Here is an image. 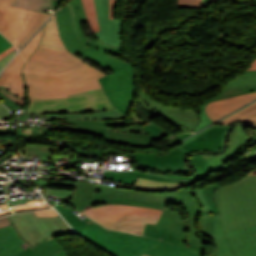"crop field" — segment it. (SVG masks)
<instances>
[{
    "label": "crop field",
    "instance_id": "0bd39190",
    "mask_svg": "<svg viewBox=\"0 0 256 256\" xmlns=\"http://www.w3.org/2000/svg\"><path fill=\"white\" fill-rule=\"evenodd\" d=\"M202 0H178L177 7L199 8Z\"/></svg>",
    "mask_w": 256,
    "mask_h": 256
},
{
    "label": "crop field",
    "instance_id": "120bbe31",
    "mask_svg": "<svg viewBox=\"0 0 256 256\" xmlns=\"http://www.w3.org/2000/svg\"><path fill=\"white\" fill-rule=\"evenodd\" d=\"M140 127L143 128L148 134H150L152 137L156 139H160L168 135L167 132H165L163 129L159 128L151 122L146 123Z\"/></svg>",
    "mask_w": 256,
    "mask_h": 256
},
{
    "label": "crop field",
    "instance_id": "d1516ede",
    "mask_svg": "<svg viewBox=\"0 0 256 256\" xmlns=\"http://www.w3.org/2000/svg\"><path fill=\"white\" fill-rule=\"evenodd\" d=\"M20 237L32 247L49 236L74 234L61 217L37 218L34 213L11 216Z\"/></svg>",
    "mask_w": 256,
    "mask_h": 256
},
{
    "label": "crop field",
    "instance_id": "8a807250",
    "mask_svg": "<svg viewBox=\"0 0 256 256\" xmlns=\"http://www.w3.org/2000/svg\"><path fill=\"white\" fill-rule=\"evenodd\" d=\"M132 190L98 184L97 193L81 212L102 204H131L165 210L157 225L146 224L143 235L164 239L199 256L203 255L204 246L196 238L198 234L195 222L197 216L201 215V207L193 196L194 189L168 193H144ZM168 202L184 204L190 218L184 221L179 213L166 208Z\"/></svg>",
    "mask_w": 256,
    "mask_h": 256
},
{
    "label": "crop field",
    "instance_id": "ae1a2a85",
    "mask_svg": "<svg viewBox=\"0 0 256 256\" xmlns=\"http://www.w3.org/2000/svg\"><path fill=\"white\" fill-rule=\"evenodd\" d=\"M188 183L156 182L137 177L135 188L141 190H173L186 186Z\"/></svg>",
    "mask_w": 256,
    "mask_h": 256
},
{
    "label": "crop field",
    "instance_id": "bc2a9ffb",
    "mask_svg": "<svg viewBox=\"0 0 256 256\" xmlns=\"http://www.w3.org/2000/svg\"><path fill=\"white\" fill-rule=\"evenodd\" d=\"M122 119L126 118L118 109L101 111L96 113H66V114H47V121L50 120H59V119Z\"/></svg>",
    "mask_w": 256,
    "mask_h": 256
},
{
    "label": "crop field",
    "instance_id": "22f410ed",
    "mask_svg": "<svg viewBox=\"0 0 256 256\" xmlns=\"http://www.w3.org/2000/svg\"><path fill=\"white\" fill-rule=\"evenodd\" d=\"M113 104L127 117L136 98V72L131 67L99 79Z\"/></svg>",
    "mask_w": 256,
    "mask_h": 256
},
{
    "label": "crop field",
    "instance_id": "1f2cbd36",
    "mask_svg": "<svg viewBox=\"0 0 256 256\" xmlns=\"http://www.w3.org/2000/svg\"><path fill=\"white\" fill-rule=\"evenodd\" d=\"M214 1H216V0H211V1H210V4L213 3Z\"/></svg>",
    "mask_w": 256,
    "mask_h": 256
},
{
    "label": "crop field",
    "instance_id": "3316defc",
    "mask_svg": "<svg viewBox=\"0 0 256 256\" xmlns=\"http://www.w3.org/2000/svg\"><path fill=\"white\" fill-rule=\"evenodd\" d=\"M115 108L108 100L104 90L97 89L59 99L29 98L25 113H65L96 112Z\"/></svg>",
    "mask_w": 256,
    "mask_h": 256
},
{
    "label": "crop field",
    "instance_id": "dd49c442",
    "mask_svg": "<svg viewBox=\"0 0 256 256\" xmlns=\"http://www.w3.org/2000/svg\"><path fill=\"white\" fill-rule=\"evenodd\" d=\"M62 126H68L67 129L80 132L91 133L95 135L104 136V139L119 144H126L138 147H157V149L167 147L176 143L190 134H184L170 142L152 146V140L138 125L131 126L123 120L117 121H81V120H67L51 122Z\"/></svg>",
    "mask_w": 256,
    "mask_h": 256
},
{
    "label": "crop field",
    "instance_id": "f4fd0767",
    "mask_svg": "<svg viewBox=\"0 0 256 256\" xmlns=\"http://www.w3.org/2000/svg\"><path fill=\"white\" fill-rule=\"evenodd\" d=\"M230 126L213 125L192 138L168 148L170 154L156 156V153H135L133 157L141 168L168 172L187 173L190 171L183 157L196 151H219L224 144V136Z\"/></svg>",
    "mask_w": 256,
    "mask_h": 256
},
{
    "label": "crop field",
    "instance_id": "b80d0937",
    "mask_svg": "<svg viewBox=\"0 0 256 256\" xmlns=\"http://www.w3.org/2000/svg\"><path fill=\"white\" fill-rule=\"evenodd\" d=\"M0 100L3 101L9 108H11L13 111L14 109L17 107L22 108L21 106H19L18 104L12 102L11 100H9L7 97H5L1 92H0ZM24 109V108H22Z\"/></svg>",
    "mask_w": 256,
    "mask_h": 256
},
{
    "label": "crop field",
    "instance_id": "34b2d1b8",
    "mask_svg": "<svg viewBox=\"0 0 256 256\" xmlns=\"http://www.w3.org/2000/svg\"><path fill=\"white\" fill-rule=\"evenodd\" d=\"M101 32L94 33L99 41L88 39L80 22H87L81 0H70L58 10L59 33L66 49L112 72L131 67L130 63L105 54L106 50L120 55L122 20H109L108 0H94ZM89 40V41H87Z\"/></svg>",
    "mask_w": 256,
    "mask_h": 256
},
{
    "label": "crop field",
    "instance_id": "dafd665d",
    "mask_svg": "<svg viewBox=\"0 0 256 256\" xmlns=\"http://www.w3.org/2000/svg\"><path fill=\"white\" fill-rule=\"evenodd\" d=\"M256 91V86H251V87H245V88H237V89H231V90H227V91H222L220 94L216 95L215 97L207 100L201 107L200 110V114H201V119H200V123L198 125V127L196 128V131L206 127L207 125L211 124L213 121L207 116L206 112H205V106L214 100H218V99H223V98H227V97H231V96H236V95H240V94H245V93H250V92H254Z\"/></svg>",
    "mask_w": 256,
    "mask_h": 256
},
{
    "label": "crop field",
    "instance_id": "214f88e0",
    "mask_svg": "<svg viewBox=\"0 0 256 256\" xmlns=\"http://www.w3.org/2000/svg\"><path fill=\"white\" fill-rule=\"evenodd\" d=\"M96 191L97 184L78 180L77 190L68 204H70L80 212L88 205L91 197L94 196Z\"/></svg>",
    "mask_w": 256,
    "mask_h": 256
},
{
    "label": "crop field",
    "instance_id": "e1f06a70",
    "mask_svg": "<svg viewBox=\"0 0 256 256\" xmlns=\"http://www.w3.org/2000/svg\"><path fill=\"white\" fill-rule=\"evenodd\" d=\"M13 54H9L3 59L0 60V71L7 64V62L11 59ZM9 114V110H7L4 106L0 104V118H6Z\"/></svg>",
    "mask_w": 256,
    "mask_h": 256
},
{
    "label": "crop field",
    "instance_id": "750c4746",
    "mask_svg": "<svg viewBox=\"0 0 256 256\" xmlns=\"http://www.w3.org/2000/svg\"><path fill=\"white\" fill-rule=\"evenodd\" d=\"M11 6L42 13H44L42 10L47 8L48 10L50 9V12H47L46 14L52 15L51 0H15Z\"/></svg>",
    "mask_w": 256,
    "mask_h": 256
},
{
    "label": "crop field",
    "instance_id": "e52e79f7",
    "mask_svg": "<svg viewBox=\"0 0 256 256\" xmlns=\"http://www.w3.org/2000/svg\"><path fill=\"white\" fill-rule=\"evenodd\" d=\"M162 213L161 210L131 205H103L82 214L106 228L142 235L145 223L157 224Z\"/></svg>",
    "mask_w": 256,
    "mask_h": 256
},
{
    "label": "crop field",
    "instance_id": "c21b1889",
    "mask_svg": "<svg viewBox=\"0 0 256 256\" xmlns=\"http://www.w3.org/2000/svg\"><path fill=\"white\" fill-rule=\"evenodd\" d=\"M37 217H43V216H59L55 210L51 211H44V212H37L35 213Z\"/></svg>",
    "mask_w": 256,
    "mask_h": 256
},
{
    "label": "crop field",
    "instance_id": "dbb93151",
    "mask_svg": "<svg viewBox=\"0 0 256 256\" xmlns=\"http://www.w3.org/2000/svg\"><path fill=\"white\" fill-rule=\"evenodd\" d=\"M142 256H148V255L144 254V255H142Z\"/></svg>",
    "mask_w": 256,
    "mask_h": 256
},
{
    "label": "crop field",
    "instance_id": "d23c7cc5",
    "mask_svg": "<svg viewBox=\"0 0 256 256\" xmlns=\"http://www.w3.org/2000/svg\"><path fill=\"white\" fill-rule=\"evenodd\" d=\"M51 256H67L66 252L61 248L56 253L52 254Z\"/></svg>",
    "mask_w": 256,
    "mask_h": 256
},
{
    "label": "crop field",
    "instance_id": "d3111659",
    "mask_svg": "<svg viewBox=\"0 0 256 256\" xmlns=\"http://www.w3.org/2000/svg\"><path fill=\"white\" fill-rule=\"evenodd\" d=\"M57 211L64 217V219L77 231V233L82 230L86 224H89L92 222V220H89L85 218L83 221L80 220L72 211H74L72 208L64 205H57L54 206Z\"/></svg>",
    "mask_w": 256,
    "mask_h": 256
},
{
    "label": "crop field",
    "instance_id": "00972430",
    "mask_svg": "<svg viewBox=\"0 0 256 256\" xmlns=\"http://www.w3.org/2000/svg\"><path fill=\"white\" fill-rule=\"evenodd\" d=\"M104 175L102 178L104 179H110V180H115L123 183H128L134 185L136 176L147 178V179H152L156 181H168V182H197V181H173L170 179L150 175V174H145V173H137V172H108L104 171Z\"/></svg>",
    "mask_w": 256,
    "mask_h": 256
},
{
    "label": "crop field",
    "instance_id": "412701ff",
    "mask_svg": "<svg viewBox=\"0 0 256 256\" xmlns=\"http://www.w3.org/2000/svg\"><path fill=\"white\" fill-rule=\"evenodd\" d=\"M214 196L224 232L256 226V169Z\"/></svg>",
    "mask_w": 256,
    "mask_h": 256
},
{
    "label": "crop field",
    "instance_id": "92a150f3",
    "mask_svg": "<svg viewBox=\"0 0 256 256\" xmlns=\"http://www.w3.org/2000/svg\"><path fill=\"white\" fill-rule=\"evenodd\" d=\"M40 46L54 50H66L58 33L55 16L47 21Z\"/></svg>",
    "mask_w": 256,
    "mask_h": 256
},
{
    "label": "crop field",
    "instance_id": "89e229c0",
    "mask_svg": "<svg viewBox=\"0 0 256 256\" xmlns=\"http://www.w3.org/2000/svg\"><path fill=\"white\" fill-rule=\"evenodd\" d=\"M252 69H256V61L247 70H252Z\"/></svg>",
    "mask_w": 256,
    "mask_h": 256
},
{
    "label": "crop field",
    "instance_id": "cbeb9de0",
    "mask_svg": "<svg viewBox=\"0 0 256 256\" xmlns=\"http://www.w3.org/2000/svg\"><path fill=\"white\" fill-rule=\"evenodd\" d=\"M61 247L50 237L31 248L12 226L0 229V256H50Z\"/></svg>",
    "mask_w": 256,
    "mask_h": 256
},
{
    "label": "crop field",
    "instance_id": "d32e631a",
    "mask_svg": "<svg viewBox=\"0 0 256 256\" xmlns=\"http://www.w3.org/2000/svg\"><path fill=\"white\" fill-rule=\"evenodd\" d=\"M24 181H36V185L46 186H62V187H76L77 181H52V180H24ZM21 182V181H16Z\"/></svg>",
    "mask_w": 256,
    "mask_h": 256
},
{
    "label": "crop field",
    "instance_id": "28ad6ade",
    "mask_svg": "<svg viewBox=\"0 0 256 256\" xmlns=\"http://www.w3.org/2000/svg\"><path fill=\"white\" fill-rule=\"evenodd\" d=\"M13 0H0V32L18 49L50 15L10 7Z\"/></svg>",
    "mask_w": 256,
    "mask_h": 256
},
{
    "label": "crop field",
    "instance_id": "c035e120",
    "mask_svg": "<svg viewBox=\"0 0 256 256\" xmlns=\"http://www.w3.org/2000/svg\"><path fill=\"white\" fill-rule=\"evenodd\" d=\"M12 45L0 34V53L10 48Z\"/></svg>",
    "mask_w": 256,
    "mask_h": 256
},
{
    "label": "crop field",
    "instance_id": "4177f3b9",
    "mask_svg": "<svg viewBox=\"0 0 256 256\" xmlns=\"http://www.w3.org/2000/svg\"><path fill=\"white\" fill-rule=\"evenodd\" d=\"M146 254L150 256H197L175 244L161 240L156 247L149 250Z\"/></svg>",
    "mask_w": 256,
    "mask_h": 256
},
{
    "label": "crop field",
    "instance_id": "73cf0c24",
    "mask_svg": "<svg viewBox=\"0 0 256 256\" xmlns=\"http://www.w3.org/2000/svg\"><path fill=\"white\" fill-rule=\"evenodd\" d=\"M209 1L210 0H203L202 5H201L200 8H203V7L207 6V5H209Z\"/></svg>",
    "mask_w": 256,
    "mask_h": 256
},
{
    "label": "crop field",
    "instance_id": "5d738f31",
    "mask_svg": "<svg viewBox=\"0 0 256 256\" xmlns=\"http://www.w3.org/2000/svg\"><path fill=\"white\" fill-rule=\"evenodd\" d=\"M114 1L115 0H109V18L114 19Z\"/></svg>",
    "mask_w": 256,
    "mask_h": 256
},
{
    "label": "crop field",
    "instance_id": "730fd06b",
    "mask_svg": "<svg viewBox=\"0 0 256 256\" xmlns=\"http://www.w3.org/2000/svg\"><path fill=\"white\" fill-rule=\"evenodd\" d=\"M236 121H239L245 124L256 125V102L240 110L234 115L220 121L217 124L231 125V123Z\"/></svg>",
    "mask_w": 256,
    "mask_h": 256
},
{
    "label": "crop field",
    "instance_id": "25e5ab78",
    "mask_svg": "<svg viewBox=\"0 0 256 256\" xmlns=\"http://www.w3.org/2000/svg\"><path fill=\"white\" fill-rule=\"evenodd\" d=\"M61 0H53V6H54V11L58 8V4L60 3Z\"/></svg>",
    "mask_w": 256,
    "mask_h": 256
},
{
    "label": "crop field",
    "instance_id": "028f5c9d",
    "mask_svg": "<svg viewBox=\"0 0 256 256\" xmlns=\"http://www.w3.org/2000/svg\"><path fill=\"white\" fill-rule=\"evenodd\" d=\"M46 192L62 198L67 203L70 200V198L72 197V195L74 194V192H72V191L54 190V189H47Z\"/></svg>",
    "mask_w": 256,
    "mask_h": 256
},
{
    "label": "crop field",
    "instance_id": "03da06ac",
    "mask_svg": "<svg viewBox=\"0 0 256 256\" xmlns=\"http://www.w3.org/2000/svg\"><path fill=\"white\" fill-rule=\"evenodd\" d=\"M243 159H245L248 162H253L256 160V150L250 152L248 155H246Z\"/></svg>",
    "mask_w": 256,
    "mask_h": 256
},
{
    "label": "crop field",
    "instance_id": "425ffa30",
    "mask_svg": "<svg viewBox=\"0 0 256 256\" xmlns=\"http://www.w3.org/2000/svg\"><path fill=\"white\" fill-rule=\"evenodd\" d=\"M15 48L14 46L11 47L10 49H8L7 51L3 52L2 54H0V59L3 58L4 56H6L7 54H9L11 51H13Z\"/></svg>",
    "mask_w": 256,
    "mask_h": 256
},
{
    "label": "crop field",
    "instance_id": "733c2abd",
    "mask_svg": "<svg viewBox=\"0 0 256 256\" xmlns=\"http://www.w3.org/2000/svg\"><path fill=\"white\" fill-rule=\"evenodd\" d=\"M231 133V132H230ZM256 138V129L244 128L236 125L235 129L229 135L230 144L226 151L217 156L201 155L206 162L217 172H221L226 167L223 166L232 156L240 151L252 139ZM253 141V140H252Z\"/></svg>",
    "mask_w": 256,
    "mask_h": 256
},
{
    "label": "crop field",
    "instance_id": "b54c1fbb",
    "mask_svg": "<svg viewBox=\"0 0 256 256\" xmlns=\"http://www.w3.org/2000/svg\"><path fill=\"white\" fill-rule=\"evenodd\" d=\"M10 217L0 219V228L12 225Z\"/></svg>",
    "mask_w": 256,
    "mask_h": 256
},
{
    "label": "crop field",
    "instance_id": "ac0d7876",
    "mask_svg": "<svg viewBox=\"0 0 256 256\" xmlns=\"http://www.w3.org/2000/svg\"><path fill=\"white\" fill-rule=\"evenodd\" d=\"M29 97L59 98L101 88L104 73L86 65L68 51L38 47L23 67ZM65 87V88H63Z\"/></svg>",
    "mask_w": 256,
    "mask_h": 256
},
{
    "label": "crop field",
    "instance_id": "eef30255",
    "mask_svg": "<svg viewBox=\"0 0 256 256\" xmlns=\"http://www.w3.org/2000/svg\"><path fill=\"white\" fill-rule=\"evenodd\" d=\"M190 162L193 165V167L196 169L195 173L191 177H183V176H169V175H163L170 178L175 179H202L209 174L215 172L205 161L204 159L198 155V156H191Z\"/></svg>",
    "mask_w": 256,
    "mask_h": 256
},
{
    "label": "crop field",
    "instance_id": "5a996713",
    "mask_svg": "<svg viewBox=\"0 0 256 256\" xmlns=\"http://www.w3.org/2000/svg\"><path fill=\"white\" fill-rule=\"evenodd\" d=\"M92 223L78 234L115 256H140L160 241L158 239L107 230L94 221Z\"/></svg>",
    "mask_w": 256,
    "mask_h": 256
},
{
    "label": "crop field",
    "instance_id": "5142ce71",
    "mask_svg": "<svg viewBox=\"0 0 256 256\" xmlns=\"http://www.w3.org/2000/svg\"><path fill=\"white\" fill-rule=\"evenodd\" d=\"M138 101L153 115L163 119L182 132H191L198 124V114L194 109L164 106L153 101L140 89Z\"/></svg>",
    "mask_w": 256,
    "mask_h": 256
},
{
    "label": "crop field",
    "instance_id": "1d83c4d3",
    "mask_svg": "<svg viewBox=\"0 0 256 256\" xmlns=\"http://www.w3.org/2000/svg\"><path fill=\"white\" fill-rule=\"evenodd\" d=\"M82 1H83L84 8L88 17V21L93 33L99 31V25L96 17L94 1L93 0H82Z\"/></svg>",
    "mask_w": 256,
    "mask_h": 256
},
{
    "label": "crop field",
    "instance_id": "d9b57169",
    "mask_svg": "<svg viewBox=\"0 0 256 256\" xmlns=\"http://www.w3.org/2000/svg\"><path fill=\"white\" fill-rule=\"evenodd\" d=\"M25 60L18 54L0 74V90L9 99L25 107L26 92L21 67Z\"/></svg>",
    "mask_w": 256,
    "mask_h": 256
},
{
    "label": "crop field",
    "instance_id": "a9b5d70f",
    "mask_svg": "<svg viewBox=\"0 0 256 256\" xmlns=\"http://www.w3.org/2000/svg\"><path fill=\"white\" fill-rule=\"evenodd\" d=\"M218 187L217 184H213L203 189H195L194 196L202 206V213H218L215 198L213 196V191Z\"/></svg>",
    "mask_w": 256,
    "mask_h": 256
},
{
    "label": "crop field",
    "instance_id": "4a817a6b",
    "mask_svg": "<svg viewBox=\"0 0 256 256\" xmlns=\"http://www.w3.org/2000/svg\"><path fill=\"white\" fill-rule=\"evenodd\" d=\"M254 99H256V92L214 101L207 105L206 112L215 121Z\"/></svg>",
    "mask_w": 256,
    "mask_h": 256
},
{
    "label": "crop field",
    "instance_id": "d8731c3e",
    "mask_svg": "<svg viewBox=\"0 0 256 256\" xmlns=\"http://www.w3.org/2000/svg\"><path fill=\"white\" fill-rule=\"evenodd\" d=\"M202 227L214 242L217 256H256V227L223 233L215 214H202Z\"/></svg>",
    "mask_w": 256,
    "mask_h": 256
},
{
    "label": "crop field",
    "instance_id": "5866460e",
    "mask_svg": "<svg viewBox=\"0 0 256 256\" xmlns=\"http://www.w3.org/2000/svg\"><path fill=\"white\" fill-rule=\"evenodd\" d=\"M43 28L38 32V34L30 41V43L20 52L23 57L27 60V58L34 52L37 48L39 39L41 37Z\"/></svg>",
    "mask_w": 256,
    "mask_h": 256
},
{
    "label": "crop field",
    "instance_id": "bd1437ed",
    "mask_svg": "<svg viewBox=\"0 0 256 256\" xmlns=\"http://www.w3.org/2000/svg\"><path fill=\"white\" fill-rule=\"evenodd\" d=\"M251 85H256V70L245 71L239 77L229 82L227 86L225 85L226 87L224 88V90Z\"/></svg>",
    "mask_w": 256,
    "mask_h": 256
}]
</instances>
